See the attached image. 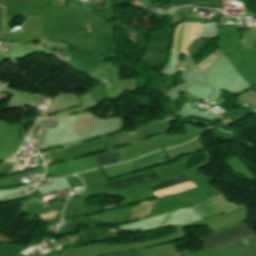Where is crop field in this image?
Here are the masks:
<instances>
[{
    "label": "crop field",
    "mask_w": 256,
    "mask_h": 256,
    "mask_svg": "<svg viewBox=\"0 0 256 256\" xmlns=\"http://www.w3.org/2000/svg\"><path fill=\"white\" fill-rule=\"evenodd\" d=\"M254 232L248 228L244 223L222 230L218 233L211 234L201 238L204 249L217 247L241 238L253 235Z\"/></svg>",
    "instance_id": "8a807250"
},
{
    "label": "crop field",
    "mask_w": 256,
    "mask_h": 256,
    "mask_svg": "<svg viewBox=\"0 0 256 256\" xmlns=\"http://www.w3.org/2000/svg\"><path fill=\"white\" fill-rule=\"evenodd\" d=\"M184 26H185V23H181V24L178 26V30H177V27H176V29H175V33H174V43H175L176 30H177V37H176V43H175V50H174V46H173V48H172V50H171V53H173V50H174V53H180L181 44H182V38H183V32H184ZM188 26H189V23H186L181 53H184V50H185V44H186ZM192 26H193V23H190L186 47H187V45H188L189 42H190L191 32H192ZM195 26H196V23H194V26H193V32H192L191 41L194 39ZM201 33H202L201 24L197 23L196 35H195V37H197V36H198L199 34H201Z\"/></svg>",
    "instance_id": "ac0d7876"
},
{
    "label": "crop field",
    "mask_w": 256,
    "mask_h": 256,
    "mask_svg": "<svg viewBox=\"0 0 256 256\" xmlns=\"http://www.w3.org/2000/svg\"><path fill=\"white\" fill-rule=\"evenodd\" d=\"M185 181H188V179L184 175H182V176H180L176 179H173L169 182L157 185V186H155L151 189L154 192V191H157V190L169 187V186H173V185L185 182ZM193 187H195V186L190 181H188V182H185V183L173 186V187H169V188L154 192L153 194L158 198V197H161V196L173 194V193L180 192V191L190 189V188H193Z\"/></svg>",
    "instance_id": "34b2d1b8"
},
{
    "label": "crop field",
    "mask_w": 256,
    "mask_h": 256,
    "mask_svg": "<svg viewBox=\"0 0 256 256\" xmlns=\"http://www.w3.org/2000/svg\"><path fill=\"white\" fill-rule=\"evenodd\" d=\"M166 162L167 161L165 159V155L162 151L152 153L143 158L132 161L129 174L139 171V170H142V169H145V168H148V167H151V166L166 163Z\"/></svg>",
    "instance_id": "412701ff"
},
{
    "label": "crop field",
    "mask_w": 256,
    "mask_h": 256,
    "mask_svg": "<svg viewBox=\"0 0 256 256\" xmlns=\"http://www.w3.org/2000/svg\"><path fill=\"white\" fill-rule=\"evenodd\" d=\"M156 179H160V177L158 176V174L156 172H154V173L146 174V175L139 176V177H136V178L121 181V182H118V183L110 184V186L115 191H117V190H121V189L128 188V187H131V186H135V185H139V184L146 183V182H149V181H153V180H156Z\"/></svg>",
    "instance_id": "f4fd0767"
},
{
    "label": "crop field",
    "mask_w": 256,
    "mask_h": 256,
    "mask_svg": "<svg viewBox=\"0 0 256 256\" xmlns=\"http://www.w3.org/2000/svg\"><path fill=\"white\" fill-rule=\"evenodd\" d=\"M245 256H256V235L233 243Z\"/></svg>",
    "instance_id": "dd49c442"
},
{
    "label": "crop field",
    "mask_w": 256,
    "mask_h": 256,
    "mask_svg": "<svg viewBox=\"0 0 256 256\" xmlns=\"http://www.w3.org/2000/svg\"><path fill=\"white\" fill-rule=\"evenodd\" d=\"M119 153L105 154L95 157V163L97 167H101L108 164L119 163L118 162Z\"/></svg>",
    "instance_id": "e52e79f7"
},
{
    "label": "crop field",
    "mask_w": 256,
    "mask_h": 256,
    "mask_svg": "<svg viewBox=\"0 0 256 256\" xmlns=\"http://www.w3.org/2000/svg\"><path fill=\"white\" fill-rule=\"evenodd\" d=\"M217 56L210 55L206 57L200 64L196 65L195 67L201 72L203 75L205 71L210 67V65L213 63V61L216 59Z\"/></svg>",
    "instance_id": "d8731c3e"
},
{
    "label": "crop field",
    "mask_w": 256,
    "mask_h": 256,
    "mask_svg": "<svg viewBox=\"0 0 256 256\" xmlns=\"http://www.w3.org/2000/svg\"><path fill=\"white\" fill-rule=\"evenodd\" d=\"M204 160H206V158H205L203 152H201L199 154H194L188 158L186 169H188Z\"/></svg>",
    "instance_id": "5a996713"
},
{
    "label": "crop field",
    "mask_w": 256,
    "mask_h": 256,
    "mask_svg": "<svg viewBox=\"0 0 256 256\" xmlns=\"http://www.w3.org/2000/svg\"><path fill=\"white\" fill-rule=\"evenodd\" d=\"M198 42H199V40H198V39H195V40L190 44V46H189L187 52H188V53H193L194 50H195V48H196V46H197V44H198Z\"/></svg>",
    "instance_id": "3316defc"
},
{
    "label": "crop field",
    "mask_w": 256,
    "mask_h": 256,
    "mask_svg": "<svg viewBox=\"0 0 256 256\" xmlns=\"http://www.w3.org/2000/svg\"><path fill=\"white\" fill-rule=\"evenodd\" d=\"M116 256H142V254L140 253V251H137V252L120 254V255H116Z\"/></svg>",
    "instance_id": "28ad6ade"
},
{
    "label": "crop field",
    "mask_w": 256,
    "mask_h": 256,
    "mask_svg": "<svg viewBox=\"0 0 256 256\" xmlns=\"http://www.w3.org/2000/svg\"><path fill=\"white\" fill-rule=\"evenodd\" d=\"M3 125H4V123H1V122H0V133H1V131H2Z\"/></svg>",
    "instance_id": "d1516ede"
},
{
    "label": "crop field",
    "mask_w": 256,
    "mask_h": 256,
    "mask_svg": "<svg viewBox=\"0 0 256 256\" xmlns=\"http://www.w3.org/2000/svg\"><path fill=\"white\" fill-rule=\"evenodd\" d=\"M34 143L36 142V141H33Z\"/></svg>",
    "instance_id": "22f410ed"
}]
</instances>
